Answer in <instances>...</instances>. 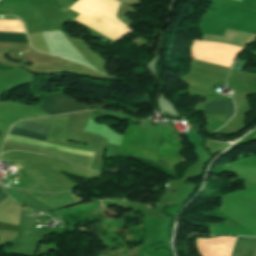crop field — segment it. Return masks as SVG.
Here are the masks:
<instances>
[{"label":"crop field","instance_id":"crop-field-1","mask_svg":"<svg viewBox=\"0 0 256 256\" xmlns=\"http://www.w3.org/2000/svg\"><path fill=\"white\" fill-rule=\"evenodd\" d=\"M38 109L44 112L47 116H50L89 110L90 108L88 106L77 103L71 98L58 92L55 94L46 95L43 103L40 107H38Z\"/></svg>","mask_w":256,"mask_h":256},{"label":"crop field","instance_id":"crop-field-2","mask_svg":"<svg viewBox=\"0 0 256 256\" xmlns=\"http://www.w3.org/2000/svg\"><path fill=\"white\" fill-rule=\"evenodd\" d=\"M17 127L34 130V131H38V132H42V133H46V134H49V132L52 130L51 127L33 124V123H29V122H22V123L18 124ZM17 127H14L11 134L25 136V137H29L32 139L42 140V141H45V139L47 137L46 134L29 131V130H25V129H21V128H17Z\"/></svg>","mask_w":256,"mask_h":256},{"label":"crop field","instance_id":"crop-field-3","mask_svg":"<svg viewBox=\"0 0 256 256\" xmlns=\"http://www.w3.org/2000/svg\"><path fill=\"white\" fill-rule=\"evenodd\" d=\"M205 113L207 114H222L232 116L234 106L228 100H212L206 103Z\"/></svg>","mask_w":256,"mask_h":256},{"label":"crop field","instance_id":"crop-field-4","mask_svg":"<svg viewBox=\"0 0 256 256\" xmlns=\"http://www.w3.org/2000/svg\"><path fill=\"white\" fill-rule=\"evenodd\" d=\"M256 250V238H237L232 256H253Z\"/></svg>","mask_w":256,"mask_h":256},{"label":"crop field","instance_id":"crop-field-5","mask_svg":"<svg viewBox=\"0 0 256 256\" xmlns=\"http://www.w3.org/2000/svg\"><path fill=\"white\" fill-rule=\"evenodd\" d=\"M0 42L29 43L25 34L1 33V32H0Z\"/></svg>","mask_w":256,"mask_h":256},{"label":"crop field","instance_id":"crop-field-6","mask_svg":"<svg viewBox=\"0 0 256 256\" xmlns=\"http://www.w3.org/2000/svg\"><path fill=\"white\" fill-rule=\"evenodd\" d=\"M0 229L17 232L18 227L0 223Z\"/></svg>","mask_w":256,"mask_h":256},{"label":"crop field","instance_id":"crop-field-7","mask_svg":"<svg viewBox=\"0 0 256 256\" xmlns=\"http://www.w3.org/2000/svg\"><path fill=\"white\" fill-rule=\"evenodd\" d=\"M7 196L3 193L2 189L0 188V202L3 201Z\"/></svg>","mask_w":256,"mask_h":256},{"label":"crop field","instance_id":"crop-field-8","mask_svg":"<svg viewBox=\"0 0 256 256\" xmlns=\"http://www.w3.org/2000/svg\"><path fill=\"white\" fill-rule=\"evenodd\" d=\"M95 153V152H94ZM94 153H93V157H94ZM93 157H92V161H93ZM92 161H91V164H92ZM91 168V167H90Z\"/></svg>","mask_w":256,"mask_h":256},{"label":"crop field","instance_id":"crop-field-9","mask_svg":"<svg viewBox=\"0 0 256 256\" xmlns=\"http://www.w3.org/2000/svg\"><path fill=\"white\" fill-rule=\"evenodd\" d=\"M254 215H256V206H255V212H254Z\"/></svg>","mask_w":256,"mask_h":256},{"label":"crop field","instance_id":"crop-field-10","mask_svg":"<svg viewBox=\"0 0 256 256\" xmlns=\"http://www.w3.org/2000/svg\"><path fill=\"white\" fill-rule=\"evenodd\" d=\"M72 1L76 2L77 0H72Z\"/></svg>","mask_w":256,"mask_h":256}]
</instances>
